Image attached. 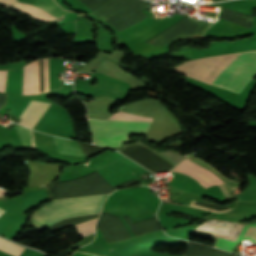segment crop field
Returning <instances> with one entry per match:
<instances>
[{
	"instance_id": "obj_18",
	"label": "crop field",
	"mask_w": 256,
	"mask_h": 256,
	"mask_svg": "<svg viewBox=\"0 0 256 256\" xmlns=\"http://www.w3.org/2000/svg\"><path fill=\"white\" fill-rule=\"evenodd\" d=\"M17 0H0V5L15 8Z\"/></svg>"
},
{
	"instance_id": "obj_15",
	"label": "crop field",
	"mask_w": 256,
	"mask_h": 256,
	"mask_svg": "<svg viewBox=\"0 0 256 256\" xmlns=\"http://www.w3.org/2000/svg\"><path fill=\"white\" fill-rule=\"evenodd\" d=\"M0 248H3L5 250L15 253L17 255H20L21 252L24 250V247L18 246L16 244H13V243L6 241L4 239H1V238H0Z\"/></svg>"
},
{
	"instance_id": "obj_9",
	"label": "crop field",
	"mask_w": 256,
	"mask_h": 256,
	"mask_svg": "<svg viewBox=\"0 0 256 256\" xmlns=\"http://www.w3.org/2000/svg\"><path fill=\"white\" fill-rule=\"evenodd\" d=\"M34 6L48 12L57 18L67 12L55 4L53 0H37Z\"/></svg>"
},
{
	"instance_id": "obj_6",
	"label": "crop field",
	"mask_w": 256,
	"mask_h": 256,
	"mask_svg": "<svg viewBox=\"0 0 256 256\" xmlns=\"http://www.w3.org/2000/svg\"><path fill=\"white\" fill-rule=\"evenodd\" d=\"M49 106L50 103L31 101L24 113L21 115L22 119L20 124L33 128Z\"/></svg>"
},
{
	"instance_id": "obj_7",
	"label": "crop field",
	"mask_w": 256,
	"mask_h": 256,
	"mask_svg": "<svg viewBox=\"0 0 256 256\" xmlns=\"http://www.w3.org/2000/svg\"><path fill=\"white\" fill-rule=\"evenodd\" d=\"M16 10H20L23 13L29 15L31 18L41 22L53 21L56 18L47 14L46 12L25 3H17Z\"/></svg>"
},
{
	"instance_id": "obj_1",
	"label": "crop field",
	"mask_w": 256,
	"mask_h": 256,
	"mask_svg": "<svg viewBox=\"0 0 256 256\" xmlns=\"http://www.w3.org/2000/svg\"><path fill=\"white\" fill-rule=\"evenodd\" d=\"M240 53L187 61L171 71L212 84ZM255 75L256 51L242 52L213 85L240 94Z\"/></svg>"
},
{
	"instance_id": "obj_3",
	"label": "crop field",
	"mask_w": 256,
	"mask_h": 256,
	"mask_svg": "<svg viewBox=\"0 0 256 256\" xmlns=\"http://www.w3.org/2000/svg\"><path fill=\"white\" fill-rule=\"evenodd\" d=\"M95 144L116 147L131 134H145L150 122L89 119ZM152 123V122H151Z\"/></svg>"
},
{
	"instance_id": "obj_19",
	"label": "crop field",
	"mask_w": 256,
	"mask_h": 256,
	"mask_svg": "<svg viewBox=\"0 0 256 256\" xmlns=\"http://www.w3.org/2000/svg\"><path fill=\"white\" fill-rule=\"evenodd\" d=\"M71 256H99V255H94V254H88V253H82V252L75 251V253Z\"/></svg>"
},
{
	"instance_id": "obj_8",
	"label": "crop field",
	"mask_w": 256,
	"mask_h": 256,
	"mask_svg": "<svg viewBox=\"0 0 256 256\" xmlns=\"http://www.w3.org/2000/svg\"><path fill=\"white\" fill-rule=\"evenodd\" d=\"M59 153L82 156L76 142L53 137Z\"/></svg>"
},
{
	"instance_id": "obj_12",
	"label": "crop field",
	"mask_w": 256,
	"mask_h": 256,
	"mask_svg": "<svg viewBox=\"0 0 256 256\" xmlns=\"http://www.w3.org/2000/svg\"><path fill=\"white\" fill-rule=\"evenodd\" d=\"M183 162H185V163H187V164H189V165H191V166H193V167H195V168H197V169H199V170H201L203 172H206L209 175H211L217 182L220 183V184H218V187L221 189V191L223 192L224 196L230 194L229 190L223 184L224 182L221 181L218 177H216L212 172H210L209 170H207V169H205V168H203V167H201V166H199V165H197V164H195V163H193V162H191V161H189L187 159H185Z\"/></svg>"
},
{
	"instance_id": "obj_14",
	"label": "crop field",
	"mask_w": 256,
	"mask_h": 256,
	"mask_svg": "<svg viewBox=\"0 0 256 256\" xmlns=\"http://www.w3.org/2000/svg\"><path fill=\"white\" fill-rule=\"evenodd\" d=\"M110 119H115V120L152 121L151 118L139 117V116L128 114V113L121 112V111H117L115 114H113L110 117Z\"/></svg>"
},
{
	"instance_id": "obj_11",
	"label": "crop field",
	"mask_w": 256,
	"mask_h": 256,
	"mask_svg": "<svg viewBox=\"0 0 256 256\" xmlns=\"http://www.w3.org/2000/svg\"><path fill=\"white\" fill-rule=\"evenodd\" d=\"M23 145H27V146H36V143L34 141L33 138V134L32 131L30 129L27 128H15Z\"/></svg>"
},
{
	"instance_id": "obj_17",
	"label": "crop field",
	"mask_w": 256,
	"mask_h": 256,
	"mask_svg": "<svg viewBox=\"0 0 256 256\" xmlns=\"http://www.w3.org/2000/svg\"><path fill=\"white\" fill-rule=\"evenodd\" d=\"M174 171H178V172H182V173H185L193 178H195L196 180L199 181V183H201L204 187H208L209 183L206 182L204 179H202L201 177H199L198 175L194 174V173H191L189 171H185V170H181V169H177V168H174L173 169Z\"/></svg>"
},
{
	"instance_id": "obj_16",
	"label": "crop field",
	"mask_w": 256,
	"mask_h": 256,
	"mask_svg": "<svg viewBox=\"0 0 256 256\" xmlns=\"http://www.w3.org/2000/svg\"><path fill=\"white\" fill-rule=\"evenodd\" d=\"M176 167H177V168H181V169H185V170L192 171V172H194V173L200 175L201 177H203L205 180H207V181L210 182L211 184H216V183H217V182H216L213 178H211L209 175H207V174H205V173H203V172H201V171H199V170H197V169H195V168H193V167H191V166H189V165H187V164H185V163H183V162L180 163V164H178Z\"/></svg>"
},
{
	"instance_id": "obj_10",
	"label": "crop field",
	"mask_w": 256,
	"mask_h": 256,
	"mask_svg": "<svg viewBox=\"0 0 256 256\" xmlns=\"http://www.w3.org/2000/svg\"><path fill=\"white\" fill-rule=\"evenodd\" d=\"M189 160L211 170L212 172H214L221 180H223L226 185V187L230 190V192L232 193L234 190H236L240 185H242L241 183H236V182H232L228 179H226L224 176H222L220 173H218L212 166L200 161L197 158H190Z\"/></svg>"
},
{
	"instance_id": "obj_20",
	"label": "crop field",
	"mask_w": 256,
	"mask_h": 256,
	"mask_svg": "<svg viewBox=\"0 0 256 256\" xmlns=\"http://www.w3.org/2000/svg\"><path fill=\"white\" fill-rule=\"evenodd\" d=\"M6 193H9V192L0 188V196H4V194Z\"/></svg>"
},
{
	"instance_id": "obj_13",
	"label": "crop field",
	"mask_w": 256,
	"mask_h": 256,
	"mask_svg": "<svg viewBox=\"0 0 256 256\" xmlns=\"http://www.w3.org/2000/svg\"><path fill=\"white\" fill-rule=\"evenodd\" d=\"M96 219H92V220L86 221L84 223L75 225V228L78 231L79 235L85 236V235H88L90 233H93L94 232V225L96 223Z\"/></svg>"
},
{
	"instance_id": "obj_21",
	"label": "crop field",
	"mask_w": 256,
	"mask_h": 256,
	"mask_svg": "<svg viewBox=\"0 0 256 256\" xmlns=\"http://www.w3.org/2000/svg\"><path fill=\"white\" fill-rule=\"evenodd\" d=\"M3 213V210L0 209V215Z\"/></svg>"
},
{
	"instance_id": "obj_4",
	"label": "crop field",
	"mask_w": 256,
	"mask_h": 256,
	"mask_svg": "<svg viewBox=\"0 0 256 256\" xmlns=\"http://www.w3.org/2000/svg\"><path fill=\"white\" fill-rule=\"evenodd\" d=\"M254 225H256V223L244 224L211 219L202 223L197 228V230L210 233L218 238L220 236L234 232L242 227L248 230ZM244 228L234 233L218 238L214 244V247L231 252L234 244L238 243L242 239H251L256 242V226L248 231H246Z\"/></svg>"
},
{
	"instance_id": "obj_5",
	"label": "crop field",
	"mask_w": 256,
	"mask_h": 256,
	"mask_svg": "<svg viewBox=\"0 0 256 256\" xmlns=\"http://www.w3.org/2000/svg\"><path fill=\"white\" fill-rule=\"evenodd\" d=\"M7 71H0V91L4 92ZM24 67L8 71L5 92L23 94ZM24 94H34L33 62L25 66Z\"/></svg>"
},
{
	"instance_id": "obj_2",
	"label": "crop field",
	"mask_w": 256,
	"mask_h": 256,
	"mask_svg": "<svg viewBox=\"0 0 256 256\" xmlns=\"http://www.w3.org/2000/svg\"><path fill=\"white\" fill-rule=\"evenodd\" d=\"M107 195L53 200L44 207L103 202ZM101 205L102 203L42 208L32 215V222L42 230L63 218L98 213Z\"/></svg>"
}]
</instances>
